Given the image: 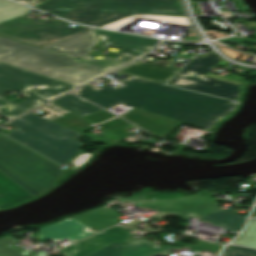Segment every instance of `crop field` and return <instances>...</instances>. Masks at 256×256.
Wrapping results in <instances>:
<instances>
[{"label":"crop field","mask_w":256,"mask_h":256,"mask_svg":"<svg viewBox=\"0 0 256 256\" xmlns=\"http://www.w3.org/2000/svg\"><path fill=\"white\" fill-rule=\"evenodd\" d=\"M15 205L10 199L0 192V209Z\"/></svg>","instance_id":"120bbe31"},{"label":"crop field","mask_w":256,"mask_h":256,"mask_svg":"<svg viewBox=\"0 0 256 256\" xmlns=\"http://www.w3.org/2000/svg\"><path fill=\"white\" fill-rule=\"evenodd\" d=\"M28 9L29 8L23 5L8 0H0V22L15 16L25 14Z\"/></svg>","instance_id":"4177f3b9"},{"label":"crop field","mask_w":256,"mask_h":256,"mask_svg":"<svg viewBox=\"0 0 256 256\" xmlns=\"http://www.w3.org/2000/svg\"><path fill=\"white\" fill-rule=\"evenodd\" d=\"M221 256H256V250L234 245H227L222 251Z\"/></svg>","instance_id":"eef30255"},{"label":"crop field","mask_w":256,"mask_h":256,"mask_svg":"<svg viewBox=\"0 0 256 256\" xmlns=\"http://www.w3.org/2000/svg\"><path fill=\"white\" fill-rule=\"evenodd\" d=\"M52 103L71 111L81 117L103 110L79 97L67 94Z\"/></svg>","instance_id":"92a150f3"},{"label":"crop field","mask_w":256,"mask_h":256,"mask_svg":"<svg viewBox=\"0 0 256 256\" xmlns=\"http://www.w3.org/2000/svg\"><path fill=\"white\" fill-rule=\"evenodd\" d=\"M129 205H143L155 209L173 212L183 217L185 221L188 220V217L191 216L220 211L217 203L180 207L175 200L140 201L125 204V206Z\"/></svg>","instance_id":"cbeb9de0"},{"label":"crop field","mask_w":256,"mask_h":256,"mask_svg":"<svg viewBox=\"0 0 256 256\" xmlns=\"http://www.w3.org/2000/svg\"><path fill=\"white\" fill-rule=\"evenodd\" d=\"M113 55L118 56L117 59H125V60H134V59H136V58H133V57H130V56L116 54V53H113ZM104 58H108V57H104ZM110 59H114V58H110Z\"/></svg>","instance_id":"028f5c9d"},{"label":"crop field","mask_w":256,"mask_h":256,"mask_svg":"<svg viewBox=\"0 0 256 256\" xmlns=\"http://www.w3.org/2000/svg\"><path fill=\"white\" fill-rule=\"evenodd\" d=\"M6 137L0 134V172L34 197L48 191L63 170L58 164Z\"/></svg>","instance_id":"412701ff"},{"label":"crop field","mask_w":256,"mask_h":256,"mask_svg":"<svg viewBox=\"0 0 256 256\" xmlns=\"http://www.w3.org/2000/svg\"><path fill=\"white\" fill-rule=\"evenodd\" d=\"M102 44L111 45L134 51L133 56L140 57L153 50L159 40L132 36L127 34L103 31L95 29ZM119 53L130 55V51L119 49Z\"/></svg>","instance_id":"3316defc"},{"label":"crop field","mask_w":256,"mask_h":256,"mask_svg":"<svg viewBox=\"0 0 256 256\" xmlns=\"http://www.w3.org/2000/svg\"><path fill=\"white\" fill-rule=\"evenodd\" d=\"M36 23L22 15L0 23V34L24 42L46 45L74 34L91 30L90 27H69L68 22L50 18Z\"/></svg>","instance_id":"dd49c442"},{"label":"crop field","mask_w":256,"mask_h":256,"mask_svg":"<svg viewBox=\"0 0 256 256\" xmlns=\"http://www.w3.org/2000/svg\"><path fill=\"white\" fill-rule=\"evenodd\" d=\"M184 57L185 54L177 53L168 60L157 59L153 64L144 63L141 61H135L116 72L125 73L129 75H135L150 80L165 83L178 69L168 67L176 57Z\"/></svg>","instance_id":"28ad6ade"},{"label":"crop field","mask_w":256,"mask_h":256,"mask_svg":"<svg viewBox=\"0 0 256 256\" xmlns=\"http://www.w3.org/2000/svg\"><path fill=\"white\" fill-rule=\"evenodd\" d=\"M168 249H180L176 246L166 245L159 248L155 247V243L143 239L133 240L122 246V256H156L165 255Z\"/></svg>","instance_id":"bc2a9ffb"},{"label":"crop field","mask_w":256,"mask_h":256,"mask_svg":"<svg viewBox=\"0 0 256 256\" xmlns=\"http://www.w3.org/2000/svg\"><path fill=\"white\" fill-rule=\"evenodd\" d=\"M117 83L121 84L118 88L86 85L74 93L105 108L123 103L206 129H212L222 117L237 107L228 104L229 100L135 76Z\"/></svg>","instance_id":"8a807250"},{"label":"crop field","mask_w":256,"mask_h":256,"mask_svg":"<svg viewBox=\"0 0 256 256\" xmlns=\"http://www.w3.org/2000/svg\"><path fill=\"white\" fill-rule=\"evenodd\" d=\"M38 87L40 89L35 92L52 99L75 86L0 62V99L20 107L26 111L48 101L47 99L28 91L22 96L26 97L22 101L16 103L5 97L8 90L24 91Z\"/></svg>","instance_id":"f4fd0767"},{"label":"crop field","mask_w":256,"mask_h":256,"mask_svg":"<svg viewBox=\"0 0 256 256\" xmlns=\"http://www.w3.org/2000/svg\"><path fill=\"white\" fill-rule=\"evenodd\" d=\"M89 229L84 224L70 218L39 229V236L40 240L50 239L55 243L65 239L74 242L81 237L93 233Z\"/></svg>","instance_id":"22f410ed"},{"label":"crop field","mask_w":256,"mask_h":256,"mask_svg":"<svg viewBox=\"0 0 256 256\" xmlns=\"http://www.w3.org/2000/svg\"><path fill=\"white\" fill-rule=\"evenodd\" d=\"M98 42V40H97V38H96V36H95V34H94V36H93V44H92V46L94 45V44H96Z\"/></svg>","instance_id":"e1f06a70"},{"label":"crop field","mask_w":256,"mask_h":256,"mask_svg":"<svg viewBox=\"0 0 256 256\" xmlns=\"http://www.w3.org/2000/svg\"><path fill=\"white\" fill-rule=\"evenodd\" d=\"M0 191L16 204L31 200L32 197L12 180L0 173Z\"/></svg>","instance_id":"00972430"},{"label":"crop field","mask_w":256,"mask_h":256,"mask_svg":"<svg viewBox=\"0 0 256 256\" xmlns=\"http://www.w3.org/2000/svg\"><path fill=\"white\" fill-rule=\"evenodd\" d=\"M121 246L122 245L112 243L89 256H121Z\"/></svg>","instance_id":"d3111659"},{"label":"crop field","mask_w":256,"mask_h":256,"mask_svg":"<svg viewBox=\"0 0 256 256\" xmlns=\"http://www.w3.org/2000/svg\"><path fill=\"white\" fill-rule=\"evenodd\" d=\"M18 119L76 147L80 148L82 145L78 142L77 138L79 133L73 132L59 124L52 121H48L42 117H39L31 112L19 117Z\"/></svg>","instance_id":"d9b57169"},{"label":"crop field","mask_w":256,"mask_h":256,"mask_svg":"<svg viewBox=\"0 0 256 256\" xmlns=\"http://www.w3.org/2000/svg\"><path fill=\"white\" fill-rule=\"evenodd\" d=\"M232 243L256 247V220L251 219L241 235Z\"/></svg>","instance_id":"730fd06b"},{"label":"crop field","mask_w":256,"mask_h":256,"mask_svg":"<svg viewBox=\"0 0 256 256\" xmlns=\"http://www.w3.org/2000/svg\"><path fill=\"white\" fill-rule=\"evenodd\" d=\"M0 105H1V108H0V114L9 118V119H12L26 111L20 109V108H17L13 105H10L4 101H1L0 100Z\"/></svg>","instance_id":"ae1a2a85"},{"label":"crop field","mask_w":256,"mask_h":256,"mask_svg":"<svg viewBox=\"0 0 256 256\" xmlns=\"http://www.w3.org/2000/svg\"><path fill=\"white\" fill-rule=\"evenodd\" d=\"M140 20L189 25L186 17L137 14L135 16L101 26V28L129 32L133 25Z\"/></svg>","instance_id":"733c2abd"},{"label":"crop field","mask_w":256,"mask_h":256,"mask_svg":"<svg viewBox=\"0 0 256 256\" xmlns=\"http://www.w3.org/2000/svg\"><path fill=\"white\" fill-rule=\"evenodd\" d=\"M120 116L136 124L142 129L158 136H165L182 122L166 118L141 109H133L129 114L124 113Z\"/></svg>","instance_id":"d1516ede"},{"label":"crop field","mask_w":256,"mask_h":256,"mask_svg":"<svg viewBox=\"0 0 256 256\" xmlns=\"http://www.w3.org/2000/svg\"><path fill=\"white\" fill-rule=\"evenodd\" d=\"M0 61L79 86L129 61L71 58L0 36Z\"/></svg>","instance_id":"ac0d7876"},{"label":"crop field","mask_w":256,"mask_h":256,"mask_svg":"<svg viewBox=\"0 0 256 256\" xmlns=\"http://www.w3.org/2000/svg\"><path fill=\"white\" fill-rule=\"evenodd\" d=\"M126 124H128V122H126V121H124V120H122L120 118H117V119H113V120H110L108 122L102 123L101 125L105 129L111 131V130H113L115 128L121 127V126L126 125Z\"/></svg>","instance_id":"1d83c4d3"},{"label":"crop field","mask_w":256,"mask_h":256,"mask_svg":"<svg viewBox=\"0 0 256 256\" xmlns=\"http://www.w3.org/2000/svg\"><path fill=\"white\" fill-rule=\"evenodd\" d=\"M221 58L213 51L202 58L193 56L187 65L168 83L233 99L238 96V84L203 76Z\"/></svg>","instance_id":"e52e79f7"},{"label":"crop field","mask_w":256,"mask_h":256,"mask_svg":"<svg viewBox=\"0 0 256 256\" xmlns=\"http://www.w3.org/2000/svg\"><path fill=\"white\" fill-rule=\"evenodd\" d=\"M92 35L93 30L87 31L41 48L75 58L86 56L91 52Z\"/></svg>","instance_id":"5142ce71"},{"label":"crop field","mask_w":256,"mask_h":256,"mask_svg":"<svg viewBox=\"0 0 256 256\" xmlns=\"http://www.w3.org/2000/svg\"><path fill=\"white\" fill-rule=\"evenodd\" d=\"M17 242V239L5 236L0 239V256H42L46 254L44 251L38 253L33 252L32 250L23 251L22 249L14 246Z\"/></svg>","instance_id":"a9b5d70f"},{"label":"crop field","mask_w":256,"mask_h":256,"mask_svg":"<svg viewBox=\"0 0 256 256\" xmlns=\"http://www.w3.org/2000/svg\"><path fill=\"white\" fill-rule=\"evenodd\" d=\"M216 225L223 226L227 231H238L242 228L247 216L238 215L232 208L217 213L198 216Z\"/></svg>","instance_id":"214f88e0"},{"label":"crop field","mask_w":256,"mask_h":256,"mask_svg":"<svg viewBox=\"0 0 256 256\" xmlns=\"http://www.w3.org/2000/svg\"><path fill=\"white\" fill-rule=\"evenodd\" d=\"M113 116H115V115L103 110V111H100L98 113L89 115V116L84 117V118H86V119H88L92 122L99 123V122H101L103 120H106V119H108L110 117H113Z\"/></svg>","instance_id":"bd1437ed"},{"label":"crop field","mask_w":256,"mask_h":256,"mask_svg":"<svg viewBox=\"0 0 256 256\" xmlns=\"http://www.w3.org/2000/svg\"><path fill=\"white\" fill-rule=\"evenodd\" d=\"M17 1H20V2H22L24 4L29 5V6H33V5L39 3L42 0H17Z\"/></svg>","instance_id":"5866460e"},{"label":"crop field","mask_w":256,"mask_h":256,"mask_svg":"<svg viewBox=\"0 0 256 256\" xmlns=\"http://www.w3.org/2000/svg\"><path fill=\"white\" fill-rule=\"evenodd\" d=\"M120 215V213L108 208L107 206H104L73 218L81 221L92 229L99 231L109 225L121 221L118 219V216Z\"/></svg>","instance_id":"4a817a6b"},{"label":"crop field","mask_w":256,"mask_h":256,"mask_svg":"<svg viewBox=\"0 0 256 256\" xmlns=\"http://www.w3.org/2000/svg\"><path fill=\"white\" fill-rule=\"evenodd\" d=\"M41 109H43L47 112H50L49 114L43 116V117H45L49 120H52V119H54V118H56V117H58V116H60L64 113L68 112V111H66V110H64V109H62V108H60V107H58V106H56L52 103H49L47 105L42 106Z\"/></svg>","instance_id":"750c4746"},{"label":"crop field","mask_w":256,"mask_h":256,"mask_svg":"<svg viewBox=\"0 0 256 256\" xmlns=\"http://www.w3.org/2000/svg\"><path fill=\"white\" fill-rule=\"evenodd\" d=\"M90 155V153L81 154L73 161V163L78 167L81 164L85 163L87 159L90 157Z\"/></svg>","instance_id":"d32e631a"},{"label":"crop field","mask_w":256,"mask_h":256,"mask_svg":"<svg viewBox=\"0 0 256 256\" xmlns=\"http://www.w3.org/2000/svg\"><path fill=\"white\" fill-rule=\"evenodd\" d=\"M52 121L57 122L61 125H64V126L70 128V129H72L76 132L85 134L89 137H92L96 140H99L103 143L109 142L108 140H105V139H102V138H99V137H96V136H93V135L82 132V131L87 130L90 127H92V126L89 125L92 122H90V121H88L84 118H81V117H79V116H77V115H75L71 112H68V113H66V114H64V115H62V116H60V117H58V118H56Z\"/></svg>","instance_id":"dafd665d"},{"label":"crop field","mask_w":256,"mask_h":256,"mask_svg":"<svg viewBox=\"0 0 256 256\" xmlns=\"http://www.w3.org/2000/svg\"><path fill=\"white\" fill-rule=\"evenodd\" d=\"M7 124L17 128L6 134L7 136L26 144V146L60 164H65L70 158L78 153L77 149L17 119Z\"/></svg>","instance_id":"d8731c3e"},{"label":"crop field","mask_w":256,"mask_h":256,"mask_svg":"<svg viewBox=\"0 0 256 256\" xmlns=\"http://www.w3.org/2000/svg\"><path fill=\"white\" fill-rule=\"evenodd\" d=\"M129 239L131 238L128 231L123 229L121 226H116L64 248L60 250V252H62L65 256H87L112 242L121 244Z\"/></svg>","instance_id":"5a996713"},{"label":"crop field","mask_w":256,"mask_h":256,"mask_svg":"<svg viewBox=\"0 0 256 256\" xmlns=\"http://www.w3.org/2000/svg\"><path fill=\"white\" fill-rule=\"evenodd\" d=\"M33 7L97 27L137 13L185 16L180 0H45Z\"/></svg>","instance_id":"34b2d1b8"}]
</instances>
